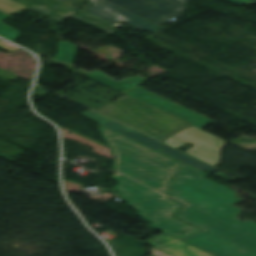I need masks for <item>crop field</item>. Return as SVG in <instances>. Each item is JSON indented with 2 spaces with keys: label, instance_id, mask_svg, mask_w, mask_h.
I'll return each mask as SVG.
<instances>
[{
  "label": "crop field",
  "instance_id": "crop-field-1",
  "mask_svg": "<svg viewBox=\"0 0 256 256\" xmlns=\"http://www.w3.org/2000/svg\"><path fill=\"white\" fill-rule=\"evenodd\" d=\"M98 128L112 149V168L116 170L112 178L120 182L114 189L121 192L127 205L153 222L151 227L177 239L199 231L172 218L182 205L168 199L169 182L183 164L101 125Z\"/></svg>",
  "mask_w": 256,
  "mask_h": 256
},
{
  "label": "crop field",
  "instance_id": "crop-field-2",
  "mask_svg": "<svg viewBox=\"0 0 256 256\" xmlns=\"http://www.w3.org/2000/svg\"><path fill=\"white\" fill-rule=\"evenodd\" d=\"M185 164L172 182V199L185 204L176 217L203 231L184 241L216 256H256V223L235 219V192Z\"/></svg>",
  "mask_w": 256,
  "mask_h": 256
},
{
  "label": "crop field",
  "instance_id": "crop-field-3",
  "mask_svg": "<svg viewBox=\"0 0 256 256\" xmlns=\"http://www.w3.org/2000/svg\"><path fill=\"white\" fill-rule=\"evenodd\" d=\"M87 77L105 86L114 88L122 93H125L134 87L136 89L127 93L126 95H129L139 101H142L163 112H166L174 117H177L200 129L214 122L206 117H203L195 112H192L184 107H181L173 102H170L162 97H159L151 92H148L136 86L137 84L145 80L140 76L128 78V79H125L124 81H114L100 72H95L88 75Z\"/></svg>",
  "mask_w": 256,
  "mask_h": 256
},
{
  "label": "crop field",
  "instance_id": "crop-field-4",
  "mask_svg": "<svg viewBox=\"0 0 256 256\" xmlns=\"http://www.w3.org/2000/svg\"><path fill=\"white\" fill-rule=\"evenodd\" d=\"M114 103L163 141L186 130L187 123L129 96L124 95Z\"/></svg>",
  "mask_w": 256,
  "mask_h": 256
},
{
  "label": "crop field",
  "instance_id": "crop-field-5",
  "mask_svg": "<svg viewBox=\"0 0 256 256\" xmlns=\"http://www.w3.org/2000/svg\"><path fill=\"white\" fill-rule=\"evenodd\" d=\"M158 25L180 18L186 4L179 0H105Z\"/></svg>",
  "mask_w": 256,
  "mask_h": 256
},
{
  "label": "crop field",
  "instance_id": "crop-field-6",
  "mask_svg": "<svg viewBox=\"0 0 256 256\" xmlns=\"http://www.w3.org/2000/svg\"><path fill=\"white\" fill-rule=\"evenodd\" d=\"M215 139L217 137L192 127L164 142L175 148L183 145L185 141L191 142L197 146L188 150V154L217 166L220 162V152L225 141L221 139L216 141Z\"/></svg>",
  "mask_w": 256,
  "mask_h": 256
},
{
  "label": "crop field",
  "instance_id": "crop-field-7",
  "mask_svg": "<svg viewBox=\"0 0 256 256\" xmlns=\"http://www.w3.org/2000/svg\"><path fill=\"white\" fill-rule=\"evenodd\" d=\"M94 6L85 12L95 15L112 24L119 21H124L132 26H135L141 30H150L156 32L163 29L139 16H136L122 8L112 5L103 0H90Z\"/></svg>",
  "mask_w": 256,
  "mask_h": 256
},
{
  "label": "crop field",
  "instance_id": "crop-field-8",
  "mask_svg": "<svg viewBox=\"0 0 256 256\" xmlns=\"http://www.w3.org/2000/svg\"><path fill=\"white\" fill-rule=\"evenodd\" d=\"M80 115H82V116H84V117H86V118H88V119H90V120H92V121H94L98 124H101V125H103L107 128H110L114 131H117V132H119L123 135H126V136H128L132 139H135V140H137V141H139L143 144H146V145H148V146H150V147H152L156 150L160 149V142L159 141H157V140H155L151 137H148L144 134H141L139 132H136V131H134V130H132V129L120 124V123H117V122H115V121L97 113V112L89 110V111H87L85 113H82Z\"/></svg>",
  "mask_w": 256,
  "mask_h": 256
},
{
  "label": "crop field",
  "instance_id": "crop-field-9",
  "mask_svg": "<svg viewBox=\"0 0 256 256\" xmlns=\"http://www.w3.org/2000/svg\"><path fill=\"white\" fill-rule=\"evenodd\" d=\"M146 243L173 256H211L165 233L146 241Z\"/></svg>",
  "mask_w": 256,
  "mask_h": 256
},
{
  "label": "crop field",
  "instance_id": "crop-field-10",
  "mask_svg": "<svg viewBox=\"0 0 256 256\" xmlns=\"http://www.w3.org/2000/svg\"><path fill=\"white\" fill-rule=\"evenodd\" d=\"M38 1L45 3L63 13H65V14H68L73 17H77V18L81 19L82 21L86 22L87 24H89L99 30H102L104 32L113 33L116 31L114 26L107 24L91 15L80 12L77 9H75L74 7H71V6L64 4L62 2H59L57 0H38Z\"/></svg>",
  "mask_w": 256,
  "mask_h": 256
},
{
  "label": "crop field",
  "instance_id": "crop-field-11",
  "mask_svg": "<svg viewBox=\"0 0 256 256\" xmlns=\"http://www.w3.org/2000/svg\"><path fill=\"white\" fill-rule=\"evenodd\" d=\"M98 112L109 116L115 120H118L126 125H129L137 130H140L146 134H149L153 136L151 133H149L147 130H145L143 127H141L138 123H136L131 117H129L123 110H121L119 107H117L114 103H109L102 109H100ZM155 137V136H153ZM156 138V137H155Z\"/></svg>",
  "mask_w": 256,
  "mask_h": 256
},
{
  "label": "crop field",
  "instance_id": "crop-field-12",
  "mask_svg": "<svg viewBox=\"0 0 256 256\" xmlns=\"http://www.w3.org/2000/svg\"><path fill=\"white\" fill-rule=\"evenodd\" d=\"M26 7H29L37 12H40L48 17H51L59 22L65 20L66 18H68L69 16L47 6L44 5L36 0H14Z\"/></svg>",
  "mask_w": 256,
  "mask_h": 256
},
{
  "label": "crop field",
  "instance_id": "crop-field-13",
  "mask_svg": "<svg viewBox=\"0 0 256 256\" xmlns=\"http://www.w3.org/2000/svg\"><path fill=\"white\" fill-rule=\"evenodd\" d=\"M162 152L166 153V154H168V155H170L174 158H177V159H179V160H181V161H183L187 164L195 166V167H197L201 170H208L210 172H213V171L217 170V169H215V168H213V167H211V166H209V165H207L203 162H200V161H198V160H196V159H194V158H192V157H190V156H188L184 153H181V152H179V151H177V150H175V149H173V148H171L167 145L163 146Z\"/></svg>",
  "mask_w": 256,
  "mask_h": 256
},
{
  "label": "crop field",
  "instance_id": "crop-field-14",
  "mask_svg": "<svg viewBox=\"0 0 256 256\" xmlns=\"http://www.w3.org/2000/svg\"><path fill=\"white\" fill-rule=\"evenodd\" d=\"M10 15L0 11V21L9 17ZM0 36L11 41L18 39V30L0 22Z\"/></svg>",
  "mask_w": 256,
  "mask_h": 256
},
{
  "label": "crop field",
  "instance_id": "crop-field-15",
  "mask_svg": "<svg viewBox=\"0 0 256 256\" xmlns=\"http://www.w3.org/2000/svg\"><path fill=\"white\" fill-rule=\"evenodd\" d=\"M75 45L68 42H60V48L56 60L71 64Z\"/></svg>",
  "mask_w": 256,
  "mask_h": 256
},
{
  "label": "crop field",
  "instance_id": "crop-field-16",
  "mask_svg": "<svg viewBox=\"0 0 256 256\" xmlns=\"http://www.w3.org/2000/svg\"><path fill=\"white\" fill-rule=\"evenodd\" d=\"M26 7L12 1V0H0V10L12 15Z\"/></svg>",
  "mask_w": 256,
  "mask_h": 256
},
{
  "label": "crop field",
  "instance_id": "crop-field-17",
  "mask_svg": "<svg viewBox=\"0 0 256 256\" xmlns=\"http://www.w3.org/2000/svg\"><path fill=\"white\" fill-rule=\"evenodd\" d=\"M236 4H256V0H230Z\"/></svg>",
  "mask_w": 256,
  "mask_h": 256
},
{
  "label": "crop field",
  "instance_id": "crop-field-18",
  "mask_svg": "<svg viewBox=\"0 0 256 256\" xmlns=\"http://www.w3.org/2000/svg\"><path fill=\"white\" fill-rule=\"evenodd\" d=\"M153 251H157V252H154V255L156 256H170L162 251H159V250H153Z\"/></svg>",
  "mask_w": 256,
  "mask_h": 256
},
{
  "label": "crop field",
  "instance_id": "crop-field-19",
  "mask_svg": "<svg viewBox=\"0 0 256 256\" xmlns=\"http://www.w3.org/2000/svg\"><path fill=\"white\" fill-rule=\"evenodd\" d=\"M181 1H183V2L187 3V1H188V0H181Z\"/></svg>",
  "mask_w": 256,
  "mask_h": 256
},
{
  "label": "crop field",
  "instance_id": "crop-field-20",
  "mask_svg": "<svg viewBox=\"0 0 256 256\" xmlns=\"http://www.w3.org/2000/svg\"><path fill=\"white\" fill-rule=\"evenodd\" d=\"M59 1H63V0H59Z\"/></svg>",
  "mask_w": 256,
  "mask_h": 256
}]
</instances>
